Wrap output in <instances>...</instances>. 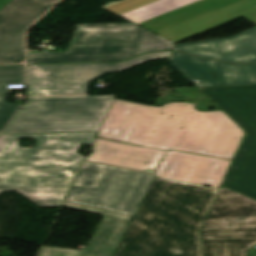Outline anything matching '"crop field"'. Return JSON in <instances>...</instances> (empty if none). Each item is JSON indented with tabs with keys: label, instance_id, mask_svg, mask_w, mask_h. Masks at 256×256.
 Listing matches in <instances>:
<instances>
[{
	"label": "crop field",
	"instance_id": "3316defc",
	"mask_svg": "<svg viewBox=\"0 0 256 256\" xmlns=\"http://www.w3.org/2000/svg\"><path fill=\"white\" fill-rule=\"evenodd\" d=\"M168 60L197 87L256 84V64H224L177 52H172Z\"/></svg>",
	"mask_w": 256,
	"mask_h": 256
},
{
	"label": "crop field",
	"instance_id": "f4fd0767",
	"mask_svg": "<svg viewBox=\"0 0 256 256\" xmlns=\"http://www.w3.org/2000/svg\"><path fill=\"white\" fill-rule=\"evenodd\" d=\"M114 96L27 98L5 134L98 131Z\"/></svg>",
	"mask_w": 256,
	"mask_h": 256
},
{
	"label": "crop field",
	"instance_id": "5142ce71",
	"mask_svg": "<svg viewBox=\"0 0 256 256\" xmlns=\"http://www.w3.org/2000/svg\"><path fill=\"white\" fill-rule=\"evenodd\" d=\"M65 207L104 215L80 256H110L131 216L65 201Z\"/></svg>",
	"mask_w": 256,
	"mask_h": 256
},
{
	"label": "crop field",
	"instance_id": "4a817a6b",
	"mask_svg": "<svg viewBox=\"0 0 256 256\" xmlns=\"http://www.w3.org/2000/svg\"><path fill=\"white\" fill-rule=\"evenodd\" d=\"M80 250L43 247L39 256H77Z\"/></svg>",
	"mask_w": 256,
	"mask_h": 256
},
{
	"label": "crop field",
	"instance_id": "ac0d7876",
	"mask_svg": "<svg viewBox=\"0 0 256 256\" xmlns=\"http://www.w3.org/2000/svg\"><path fill=\"white\" fill-rule=\"evenodd\" d=\"M218 190L154 178L113 256H202L199 229Z\"/></svg>",
	"mask_w": 256,
	"mask_h": 256
},
{
	"label": "crop field",
	"instance_id": "733c2abd",
	"mask_svg": "<svg viewBox=\"0 0 256 256\" xmlns=\"http://www.w3.org/2000/svg\"><path fill=\"white\" fill-rule=\"evenodd\" d=\"M7 84H24V66L0 67V131L22 103H7Z\"/></svg>",
	"mask_w": 256,
	"mask_h": 256
},
{
	"label": "crop field",
	"instance_id": "d1516ede",
	"mask_svg": "<svg viewBox=\"0 0 256 256\" xmlns=\"http://www.w3.org/2000/svg\"><path fill=\"white\" fill-rule=\"evenodd\" d=\"M174 50L223 62L255 63L256 26L228 38L176 45Z\"/></svg>",
	"mask_w": 256,
	"mask_h": 256
},
{
	"label": "crop field",
	"instance_id": "8a807250",
	"mask_svg": "<svg viewBox=\"0 0 256 256\" xmlns=\"http://www.w3.org/2000/svg\"><path fill=\"white\" fill-rule=\"evenodd\" d=\"M244 136L222 111L199 112L184 102L156 108L114 99L96 137L232 160Z\"/></svg>",
	"mask_w": 256,
	"mask_h": 256
},
{
	"label": "crop field",
	"instance_id": "dd49c442",
	"mask_svg": "<svg viewBox=\"0 0 256 256\" xmlns=\"http://www.w3.org/2000/svg\"><path fill=\"white\" fill-rule=\"evenodd\" d=\"M200 240L203 256H247L256 244V201L221 186Z\"/></svg>",
	"mask_w": 256,
	"mask_h": 256
},
{
	"label": "crop field",
	"instance_id": "d8731c3e",
	"mask_svg": "<svg viewBox=\"0 0 256 256\" xmlns=\"http://www.w3.org/2000/svg\"><path fill=\"white\" fill-rule=\"evenodd\" d=\"M170 53H147L122 63L27 65L28 96L87 94L88 83L106 73L168 58Z\"/></svg>",
	"mask_w": 256,
	"mask_h": 256
},
{
	"label": "crop field",
	"instance_id": "22f410ed",
	"mask_svg": "<svg viewBox=\"0 0 256 256\" xmlns=\"http://www.w3.org/2000/svg\"><path fill=\"white\" fill-rule=\"evenodd\" d=\"M197 89L256 139V85Z\"/></svg>",
	"mask_w": 256,
	"mask_h": 256
},
{
	"label": "crop field",
	"instance_id": "5a996713",
	"mask_svg": "<svg viewBox=\"0 0 256 256\" xmlns=\"http://www.w3.org/2000/svg\"><path fill=\"white\" fill-rule=\"evenodd\" d=\"M52 6L47 0H12L0 10V64L24 60L25 29Z\"/></svg>",
	"mask_w": 256,
	"mask_h": 256
},
{
	"label": "crop field",
	"instance_id": "e52e79f7",
	"mask_svg": "<svg viewBox=\"0 0 256 256\" xmlns=\"http://www.w3.org/2000/svg\"><path fill=\"white\" fill-rule=\"evenodd\" d=\"M154 174L85 162L66 200L134 215Z\"/></svg>",
	"mask_w": 256,
	"mask_h": 256
},
{
	"label": "crop field",
	"instance_id": "cbeb9de0",
	"mask_svg": "<svg viewBox=\"0 0 256 256\" xmlns=\"http://www.w3.org/2000/svg\"><path fill=\"white\" fill-rule=\"evenodd\" d=\"M87 161L147 171L157 168L165 151L96 138Z\"/></svg>",
	"mask_w": 256,
	"mask_h": 256
},
{
	"label": "crop field",
	"instance_id": "412701ff",
	"mask_svg": "<svg viewBox=\"0 0 256 256\" xmlns=\"http://www.w3.org/2000/svg\"><path fill=\"white\" fill-rule=\"evenodd\" d=\"M174 44L133 23L76 25L66 52L31 53L27 64L124 61Z\"/></svg>",
	"mask_w": 256,
	"mask_h": 256
},
{
	"label": "crop field",
	"instance_id": "34b2d1b8",
	"mask_svg": "<svg viewBox=\"0 0 256 256\" xmlns=\"http://www.w3.org/2000/svg\"><path fill=\"white\" fill-rule=\"evenodd\" d=\"M96 133L0 135V192L16 191L39 207L61 206ZM32 137L35 148H20L18 138Z\"/></svg>",
	"mask_w": 256,
	"mask_h": 256
},
{
	"label": "crop field",
	"instance_id": "214f88e0",
	"mask_svg": "<svg viewBox=\"0 0 256 256\" xmlns=\"http://www.w3.org/2000/svg\"><path fill=\"white\" fill-rule=\"evenodd\" d=\"M49 1L55 4L58 0H49Z\"/></svg>",
	"mask_w": 256,
	"mask_h": 256
},
{
	"label": "crop field",
	"instance_id": "28ad6ade",
	"mask_svg": "<svg viewBox=\"0 0 256 256\" xmlns=\"http://www.w3.org/2000/svg\"><path fill=\"white\" fill-rule=\"evenodd\" d=\"M232 161L166 152L155 177L219 188Z\"/></svg>",
	"mask_w": 256,
	"mask_h": 256
},
{
	"label": "crop field",
	"instance_id": "bc2a9ffb",
	"mask_svg": "<svg viewBox=\"0 0 256 256\" xmlns=\"http://www.w3.org/2000/svg\"><path fill=\"white\" fill-rule=\"evenodd\" d=\"M9 0H0V8L5 5Z\"/></svg>",
	"mask_w": 256,
	"mask_h": 256
},
{
	"label": "crop field",
	"instance_id": "d9b57169",
	"mask_svg": "<svg viewBox=\"0 0 256 256\" xmlns=\"http://www.w3.org/2000/svg\"><path fill=\"white\" fill-rule=\"evenodd\" d=\"M222 186L256 200V140L246 135Z\"/></svg>",
	"mask_w": 256,
	"mask_h": 256
}]
</instances>
